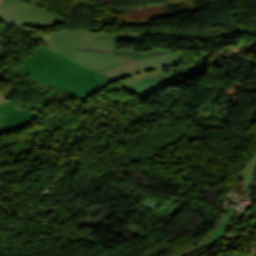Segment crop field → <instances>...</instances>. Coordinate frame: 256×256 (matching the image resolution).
<instances>
[{"label":"crop field","mask_w":256,"mask_h":256,"mask_svg":"<svg viewBox=\"0 0 256 256\" xmlns=\"http://www.w3.org/2000/svg\"><path fill=\"white\" fill-rule=\"evenodd\" d=\"M142 38L143 34L114 35L115 53L132 56L133 61H135L165 52V50L158 48L149 52L119 49L118 43L121 40L142 44ZM17 69L53 88L63 90L83 100L113 82V80L98 73L102 70L94 72L44 47L39 48Z\"/></svg>","instance_id":"crop-field-1"},{"label":"crop field","mask_w":256,"mask_h":256,"mask_svg":"<svg viewBox=\"0 0 256 256\" xmlns=\"http://www.w3.org/2000/svg\"><path fill=\"white\" fill-rule=\"evenodd\" d=\"M183 62L182 52H165L100 73L113 79L121 88L143 100L171 85L181 83L167 67Z\"/></svg>","instance_id":"crop-field-2"},{"label":"crop field","mask_w":256,"mask_h":256,"mask_svg":"<svg viewBox=\"0 0 256 256\" xmlns=\"http://www.w3.org/2000/svg\"><path fill=\"white\" fill-rule=\"evenodd\" d=\"M47 48L94 71L131 61L113 52V35L60 32L41 38Z\"/></svg>","instance_id":"crop-field-3"},{"label":"crop field","mask_w":256,"mask_h":256,"mask_svg":"<svg viewBox=\"0 0 256 256\" xmlns=\"http://www.w3.org/2000/svg\"><path fill=\"white\" fill-rule=\"evenodd\" d=\"M0 20L39 29L56 27L66 22V19L62 17L37 9L19 0H3L0 3Z\"/></svg>","instance_id":"crop-field-4"},{"label":"crop field","mask_w":256,"mask_h":256,"mask_svg":"<svg viewBox=\"0 0 256 256\" xmlns=\"http://www.w3.org/2000/svg\"><path fill=\"white\" fill-rule=\"evenodd\" d=\"M37 117L39 116L7 100L0 104V135L19 130Z\"/></svg>","instance_id":"crop-field-5"},{"label":"crop field","mask_w":256,"mask_h":256,"mask_svg":"<svg viewBox=\"0 0 256 256\" xmlns=\"http://www.w3.org/2000/svg\"><path fill=\"white\" fill-rule=\"evenodd\" d=\"M236 211H237L236 209L228 208L227 211L224 212L222 218L219 220V222L217 223L213 231L207 236V237H212V239L211 240L203 239L201 242L198 243V247L196 248L189 247L191 251L188 254L193 253L203 247L210 250L221 239V237L225 235L229 224L231 223L232 219L236 214ZM188 254L183 255L177 252L174 255L186 256Z\"/></svg>","instance_id":"crop-field-6"},{"label":"crop field","mask_w":256,"mask_h":256,"mask_svg":"<svg viewBox=\"0 0 256 256\" xmlns=\"http://www.w3.org/2000/svg\"><path fill=\"white\" fill-rule=\"evenodd\" d=\"M255 171H256V154L247 162L241 175V187H242L243 195L245 194Z\"/></svg>","instance_id":"crop-field-7"},{"label":"crop field","mask_w":256,"mask_h":256,"mask_svg":"<svg viewBox=\"0 0 256 256\" xmlns=\"http://www.w3.org/2000/svg\"><path fill=\"white\" fill-rule=\"evenodd\" d=\"M5 100H6V98H4L2 95H0V103L5 101Z\"/></svg>","instance_id":"crop-field-8"},{"label":"crop field","mask_w":256,"mask_h":256,"mask_svg":"<svg viewBox=\"0 0 256 256\" xmlns=\"http://www.w3.org/2000/svg\"><path fill=\"white\" fill-rule=\"evenodd\" d=\"M235 205L229 204L228 207L234 208Z\"/></svg>","instance_id":"crop-field-9"},{"label":"crop field","mask_w":256,"mask_h":256,"mask_svg":"<svg viewBox=\"0 0 256 256\" xmlns=\"http://www.w3.org/2000/svg\"><path fill=\"white\" fill-rule=\"evenodd\" d=\"M2 0H0V2H1Z\"/></svg>","instance_id":"crop-field-10"}]
</instances>
